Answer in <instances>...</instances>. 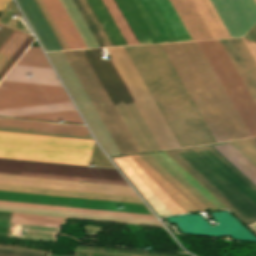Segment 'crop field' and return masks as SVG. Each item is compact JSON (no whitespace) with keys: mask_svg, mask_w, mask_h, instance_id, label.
<instances>
[{"mask_svg":"<svg viewBox=\"0 0 256 256\" xmlns=\"http://www.w3.org/2000/svg\"><path fill=\"white\" fill-rule=\"evenodd\" d=\"M254 231H256V224L250 226Z\"/></svg>","mask_w":256,"mask_h":256,"instance_id":"obj_30","label":"crop field"},{"mask_svg":"<svg viewBox=\"0 0 256 256\" xmlns=\"http://www.w3.org/2000/svg\"><path fill=\"white\" fill-rule=\"evenodd\" d=\"M0 183L137 196L131 188L0 175Z\"/></svg>","mask_w":256,"mask_h":256,"instance_id":"obj_13","label":"crop field"},{"mask_svg":"<svg viewBox=\"0 0 256 256\" xmlns=\"http://www.w3.org/2000/svg\"><path fill=\"white\" fill-rule=\"evenodd\" d=\"M116 253L145 255V256H182V255L147 253V252H137V251L109 249V248L81 246V245H77L75 256H130V255H121ZM48 256H68V255L49 254Z\"/></svg>","mask_w":256,"mask_h":256,"instance_id":"obj_20","label":"crop field"},{"mask_svg":"<svg viewBox=\"0 0 256 256\" xmlns=\"http://www.w3.org/2000/svg\"><path fill=\"white\" fill-rule=\"evenodd\" d=\"M161 46L216 142L250 137L197 42Z\"/></svg>","mask_w":256,"mask_h":256,"instance_id":"obj_4","label":"crop field"},{"mask_svg":"<svg viewBox=\"0 0 256 256\" xmlns=\"http://www.w3.org/2000/svg\"><path fill=\"white\" fill-rule=\"evenodd\" d=\"M10 0H0V11H3Z\"/></svg>","mask_w":256,"mask_h":256,"instance_id":"obj_28","label":"crop field"},{"mask_svg":"<svg viewBox=\"0 0 256 256\" xmlns=\"http://www.w3.org/2000/svg\"><path fill=\"white\" fill-rule=\"evenodd\" d=\"M244 42L246 43L248 49L250 50L251 54L253 55L255 61H256V43L249 41L247 39H244Z\"/></svg>","mask_w":256,"mask_h":256,"instance_id":"obj_26","label":"crop field"},{"mask_svg":"<svg viewBox=\"0 0 256 256\" xmlns=\"http://www.w3.org/2000/svg\"><path fill=\"white\" fill-rule=\"evenodd\" d=\"M92 142L0 131V157L88 165Z\"/></svg>","mask_w":256,"mask_h":256,"instance_id":"obj_9","label":"crop field"},{"mask_svg":"<svg viewBox=\"0 0 256 256\" xmlns=\"http://www.w3.org/2000/svg\"><path fill=\"white\" fill-rule=\"evenodd\" d=\"M17 2L45 51L61 49L34 1L17 0Z\"/></svg>","mask_w":256,"mask_h":256,"instance_id":"obj_14","label":"crop field"},{"mask_svg":"<svg viewBox=\"0 0 256 256\" xmlns=\"http://www.w3.org/2000/svg\"><path fill=\"white\" fill-rule=\"evenodd\" d=\"M18 30H14L13 33L9 36V38L4 42V44L0 47V53L5 48V46L10 42V40L15 36ZM22 32L19 31L16 36L11 40V42L6 46V48L0 54V58L5 54V52L9 49V47L14 43V41L19 37ZM26 36L25 33L21 35V37L16 41V43L11 47V49L7 52V54L2 58L0 61V67L5 62V60L10 56V54L14 51V49L19 45V43L24 39ZM31 35H27L25 39L20 43V45L15 49V51L11 54V56L6 60V62L0 68V72L5 68V66L9 63V61L14 57V55L18 52V50L23 46V44L28 40ZM33 40V36L30 40L25 44V46L20 50V52L15 56V58L11 61V63L6 67V69L1 73L0 80L6 74V72L10 69V67L14 64V62L19 58V56L23 53V51L27 48V46Z\"/></svg>","mask_w":256,"mask_h":256,"instance_id":"obj_18","label":"crop field"},{"mask_svg":"<svg viewBox=\"0 0 256 256\" xmlns=\"http://www.w3.org/2000/svg\"><path fill=\"white\" fill-rule=\"evenodd\" d=\"M111 61L160 149L179 146L123 47L108 48ZM140 151L159 149L110 61L98 49L83 50ZM82 50L63 51L120 153L139 151Z\"/></svg>","mask_w":256,"mask_h":256,"instance_id":"obj_1","label":"crop field"},{"mask_svg":"<svg viewBox=\"0 0 256 256\" xmlns=\"http://www.w3.org/2000/svg\"><path fill=\"white\" fill-rule=\"evenodd\" d=\"M248 140H249L253 145L256 146V137L249 138Z\"/></svg>","mask_w":256,"mask_h":256,"instance_id":"obj_29","label":"crop field"},{"mask_svg":"<svg viewBox=\"0 0 256 256\" xmlns=\"http://www.w3.org/2000/svg\"><path fill=\"white\" fill-rule=\"evenodd\" d=\"M0 174L129 187L117 169L111 168L0 158Z\"/></svg>","mask_w":256,"mask_h":256,"instance_id":"obj_11","label":"crop field"},{"mask_svg":"<svg viewBox=\"0 0 256 256\" xmlns=\"http://www.w3.org/2000/svg\"><path fill=\"white\" fill-rule=\"evenodd\" d=\"M256 101V63L242 38L220 40ZM219 40L198 42L251 136L256 135V103Z\"/></svg>","mask_w":256,"mask_h":256,"instance_id":"obj_5","label":"crop field"},{"mask_svg":"<svg viewBox=\"0 0 256 256\" xmlns=\"http://www.w3.org/2000/svg\"><path fill=\"white\" fill-rule=\"evenodd\" d=\"M140 44L191 40L169 0H115Z\"/></svg>","mask_w":256,"mask_h":256,"instance_id":"obj_10","label":"crop field"},{"mask_svg":"<svg viewBox=\"0 0 256 256\" xmlns=\"http://www.w3.org/2000/svg\"><path fill=\"white\" fill-rule=\"evenodd\" d=\"M62 5L64 6L66 12L68 13L69 17L71 18L73 24L75 25L76 29L78 30L80 36L82 37L83 41L85 42L87 48L90 47H101V46H121V45H131V44H139L138 40L136 39L135 35L133 34L131 28L129 27L128 23L126 22L125 18L123 17L122 13L120 12L118 6L116 5L114 0H102L103 3L105 4L107 10L109 11L111 17L113 18L115 24L117 25L119 31L121 32L123 38L125 39V41L123 40L121 34L119 33L118 29L116 28L115 24L113 23L111 17L109 16L108 12L106 11L105 7L103 6L101 0H60Z\"/></svg>","mask_w":256,"mask_h":256,"instance_id":"obj_8","label":"crop field"},{"mask_svg":"<svg viewBox=\"0 0 256 256\" xmlns=\"http://www.w3.org/2000/svg\"><path fill=\"white\" fill-rule=\"evenodd\" d=\"M0 130L1 131H12V132H23V133H34V134H45V135H56V136H66V137H77V138L93 139L91 137V135L64 133V132H54V131H44V130H34V129H23V128H13V127H3V126H0Z\"/></svg>","mask_w":256,"mask_h":256,"instance_id":"obj_21","label":"crop field"},{"mask_svg":"<svg viewBox=\"0 0 256 256\" xmlns=\"http://www.w3.org/2000/svg\"><path fill=\"white\" fill-rule=\"evenodd\" d=\"M0 125L89 134L85 126H79V125H68V124H57V123L35 122V121L29 122L24 120H13V119H2V118H0Z\"/></svg>","mask_w":256,"mask_h":256,"instance_id":"obj_19","label":"crop field"},{"mask_svg":"<svg viewBox=\"0 0 256 256\" xmlns=\"http://www.w3.org/2000/svg\"><path fill=\"white\" fill-rule=\"evenodd\" d=\"M0 190L143 204L138 197L0 184Z\"/></svg>","mask_w":256,"mask_h":256,"instance_id":"obj_15","label":"crop field"},{"mask_svg":"<svg viewBox=\"0 0 256 256\" xmlns=\"http://www.w3.org/2000/svg\"><path fill=\"white\" fill-rule=\"evenodd\" d=\"M37 4L38 8L40 9L42 15L44 16L45 20L47 21L48 25L50 26L52 32L54 33L55 37L57 38L59 44L61 45L62 49H69L68 45L66 44L64 38L62 37L61 33L58 30V26L56 27L54 21L52 20L51 16L48 13V9L46 10L44 4L41 0H34Z\"/></svg>","mask_w":256,"mask_h":256,"instance_id":"obj_22","label":"crop field"},{"mask_svg":"<svg viewBox=\"0 0 256 256\" xmlns=\"http://www.w3.org/2000/svg\"><path fill=\"white\" fill-rule=\"evenodd\" d=\"M0 200L153 215L145 205L0 191ZM0 201V204L156 219L154 216ZM0 205V210L161 226L158 220ZM122 207L123 209H120Z\"/></svg>","mask_w":256,"mask_h":256,"instance_id":"obj_7","label":"crop field"},{"mask_svg":"<svg viewBox=\"0 0 256 256\" xmlns=\"http://www.w3.org/2000/svg\"><path fill=\"white\" fill-rule=\"evenodd\" d=\"M9 212H0V235L7 236ZM64 218L11 213L10 222L60 227Z\"/></svg>","mask_w":256,"mask_h":256,"instance_id":"obj_17","label":"crop field"},{"mask_svg":"<svg viewBox=\"0 0 256 256\" xmlns=\"http://www.w3.org/2000/svg\"><path fill=\"white\" fill-rule=\"evenodd\" d=\"M0 115L83 124L40 48L35 47L0 83Z\"/></svg>","mask_w":256,"mask_h":256,"instance_id":"obj_2","label":"crop field"},{"mask_svg":"<svg viewBox=\"0 0 256 256\" xmlns=\"http://www.w3.org/2000/svg\"><path fill=\"white\" fill-rule=\"evenodd\" d=\"M45 252L0 248V256H43Z\"/></svg>","mask_w":256,"mask_h":256,"instance_id":"obj_24","label":"crop field"},{"mask_svg":"<svg viewBox=\"0 0 256 256\" xmlns=\"http://www.w3.org/2000/svg\"><path fill=\"white\" fill-rule=\"evenodd\" d=\"M231 143L256 164V147L253 146L247 139L234 141Z\"/></svg>","mask_w":256,"mask_h":256,"instance_id":"obj_23","label":"crop field"},{"mask_svg":"<svg viewBox=\"0 0 256 256\" xmlns=\"http://www.w3.org/2000/svg\"><path fill=\"white\" fill-rule=\"evenodd\" d=\"M48 57L60 74L73 100L86 119L93 135L108 155L118 154L119 151L88 99L62 51L49 52ZM84 119V120H85Z\"/></svg>","mask_w":256,"mask_h":256,"instance_id":"obj_12","label":"crop field"},{"mask_svg":"<svg viewBox=\"0 0 256 256\" xmlns=\"http://www.w3.org/2000/svg\"><path fill=\"white\" fill-rule=\"evenodd\" d=\"M244 37L256 41V25Z\"/></svg>","mask_w":256,"mask_h":256,"instance_id":"obj_27","label":"crop field"},{"mask_svg":"<svg viewBox=\"0 0 256 256\" xmlns=\"http://www.w3.org/2000/svg\"><path fill=\"white\" fill-rule=\"evenodd\" d=\"M70 49L86 48L59 0H42Z\"/></svg>","mask_w":256,"mask_h":256,"instance_id":"obj_16","label":"crop field"},{"mask_svg":"<svg viewBox=\"0 0 256 256\" xmlns=\"http://www.w3.org/2000/svg\"><path fill=\"white\" fill-rule=\"evenodd\" d=\"M14 28H10L7 26H0V46L7 39V37L12 33Z\"/></svg>","mask_w":256,"mask_h":256,"instance_id":"obj_25","label":"crop field"},{"mask_svg":"<svg viewBox=\"0 0 256 256\" xmlns=\"http://www.w3.org/2000/svg\"><path fill=\"white\" fill-rule=\"evenodd\" d=\"M256 185V165L230 142L212 145ZM211 145L166 151L248 225L256 222V186Z\"/></svg>","mask_w":256,"mask_h":256,"instance_id":"obj_3","label":"crop field"},{"mask_svg":"<svg viewBox=\"0 0 256 256\" xmlns=\"http://www.w3.org/2000/svg\"><path fill=\"white\" fill-rule=\"evenodd\" d=\"M231 37L256 23L254 0H210ZM209 0H170L192 40L230 37Z\"/></svg>","mask_w":256,"mask_h":256,"instance_id":"obj_6","label":"crop field"}]
</instances>
